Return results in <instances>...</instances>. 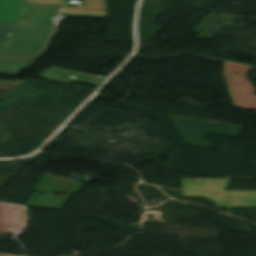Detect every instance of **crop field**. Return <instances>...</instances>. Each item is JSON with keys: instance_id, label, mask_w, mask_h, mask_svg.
I'll return each mask as SVG.
<instances>
[{"instance_id": "5", "label": "crop field", "mask_w": 256, "mask_h": 256, "mask_svg": "<svg viewBox=\"0 0 256 256\" xmlns=\"http://www.w3.org/2000/svg\"><path fill=\"white\" fill-rule=\"evenodd\" d=\"M21 0H0V22L14 23Z\"/></svg>"}, {"instance_id": "9", "label": "crop field", "mask_w": 256, "mask_h": 256, "mask_svg": "<svg viewBox=\"0 0 256 256\" xmlns=\"http://www.w3.org/2000/svg\"><path fill=\"white\" fill-rule=\"evenodd\" d=\"M62 14H65V15H68V16L107 18V15L93 14V13H81V12L62 11Z\"/></svg>"}, {"instance_id": "3", "label": "crop field", "mask_w": 256, "mask_h": 256, "mask_svg": "<svg viewBox=\"0 0 256 256\" xmlns=\"http://www.w3.org/2000/svg\"><path fill=\"white\" fill-rule=\"evenodd\" d=\"M230 179H182L183 190L224 191Z\"/></svg>"}, {"instance_id": "11", "label": "crop field", "mask_w": 256, "mask_h": 256, "mask_svg": "<svg viewBox=\"0 0 256 256\" xmlns=\"http://www.w3.org/2000/svg\"><path fill=\"white\" fill-rule=\"evenodd\" d=\"M0 256H13V255L0 254Z\"/></svg>"}, {"instance_id": "2", "label": "crop field", "mask_w": 256, "mask_h": 256, "mask_svg": "<svg viewBox=\"0 0 256 256\" xmlns=\"http://www.w3.org/2000/svg\"><path fill=\"white\" fill-rule=\"evenodd\" d=\"M184 197L207 198L217 207L256 206V191L253 192H203L183 191Z\"/></svg>"}, {"instance_id": "1", "label": "crop field", "mask_w": 256, "mask_h": 256, "mask_svg": "<svg viewBox=\"0 0 256 256\" xmlns=\"http://www.w3.org/2000/svg\"><path fill=\"white\" fill-rule=\"evenodd\" d=\"M62 6L22 2L15 24L16 36L9 48L42 51Z\"/></svg>"}, {"instance_id": "10", "label": "crop field", "mask_w": 256, "mask_h": 256, "mask_svg": "<svg viewBox=\"0 0 256 256\" xmlns=\"http://www.w3.org/2000/svg\"><path fill=\"white\" fill-rule=\"evenodd\" d=\"M27 2H37V3H48V4H58L63 5L64 0H22Z\"/></svg>"}, {"instance_id": "6", "label": "crop field", "mask_w": 256, "mask_h": 256, "mask_svg": "<svg viewBox=\"0 0 256 256\" xmlns=\"http://www.w3.org/2000/svg\"><path fill=\"white\" fill-rule=\"evenodd\" d=\"M64 9L76 11L107 12L105 0H84L79 8L65 7Z\"/></svg>"}, {"instance_id": "7", "label": "crop field", "mask_w": 256, "mask_h": 256, "mask_svg": "<svg viewBox=\"0 0 256 256\" xmlns=\"http://www.w3.org/2000/svg\"><path fill=\"white\" fill-rule=\"evenodd\" d=\"M16 26L14 24L0 23V50L11 42ZM8 33H11L10 36H7Z\"/></svg>"}, {"instance_id": "8", "label": "crop field", "mask_w": 256, "mask_h": 256, "mask_svg": "<svg viewBox=\"0 0 256 256\" xmlns=\"http://www.w3.org/2000/svg\"><path fill=\"white\" fill-rule=\"evenodd\" d=\"M25 65L0 61V72L18 73Z\"/></svg>"}, {"instance_id": "4", "label": "crop field", "mask_w": 256, "mask_h": 256, "mask_svg": "<svg viewBox=\"0 0 256 256\" xmlns=\"http://www.w3.org/2000/svg\"><path fill=\"white\" fill-rule=\"evenodd\" d=\"M39 53L36 51L6 49L0 52V60L25 64Z\"/></svg>"}]
</instances>
